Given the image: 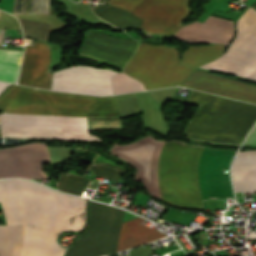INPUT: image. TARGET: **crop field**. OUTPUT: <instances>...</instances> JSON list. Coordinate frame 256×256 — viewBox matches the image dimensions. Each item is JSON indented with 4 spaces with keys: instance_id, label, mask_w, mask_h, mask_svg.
I'll return each instance as SVG.
<instances>
[{
    "instance_id": "crop-field-13",
    "label": "crop field",
    "mask_w": 256,
    "mask_h": 256,
    "mask_svg": "<svg viewBox=\"0 0 256 256\" xmlns=\"http://www.w3.org/2000/svg\"><path fill=\"white\" fill-rule=\"evenodd\" d=\"M232 36L233 22L209 16L203 23L182 26L173 38L190 43L214 42L227 45Z\"/></svg>"
},
{
    "instance_id": "crop-field-1",
    "label": "crop field",
    "mask_w": 256,
    "mask_h": 256,
    "mask_svg": "<svg viewBox=\"0 0 256 256\" xmlns=\"http://www.w3.org/2000/svg\"><path fill=\"white\" fill-rule=\"evenodd\" d=\"M0 112L49 116H119L114 97H95L8 85L0 94ZM1 113L3 137L100 140L89 133L86 118ZM27 134L9 137L29 138Z\"/></svg>"
},
{
    "instance_id": "crop-field-2",
    "label": "crop field",
    "mask_w": 256,
    "mask_h": 256,
    "mask_svg": "<svg viewBox=\"0 0 256 256\" xmlns=\"http://www.w3.org/2000/svg\"><path fill=\"white\" fill-rule=\"evenodd\" d=\"M0 205L7 224H23L19 256H62L57 235L85 222L84 199L26 180H0Z\"/></svg>"
},
{
    "instance_id": "crop-field-3",
    "label": "crop field",
    "mask_w": 256,
    "mask_h": 256,
    "mask_svg": "<svg viewBox=\"0 0 256 256\" xmlns=\"http://www.w3.org/2000/svg\"><path fill=\"white\" fill-rule=\"evenodd\" d=\"M161 144L147 137L124 146L115 145L111 153L136 167L134 178L142 181L149 193L174 205L201 208L203 197L197 169L205 148L168 141L160 149Z\"/></svg>"
},
{
    "instance_id": "crop-field-10",
    "label": "crop field",
    "mask_w": 256,
    "mask_h": 256,
    "mask_svg": "<svg viewBox=\"0 0 256 256\" xmlns=\"http://www.w3.org/2000/svg\"><path fill=\"white\" fill-rule=\"evenodd\" d=\"M49 159L44 143H32L0 149V178H43L41 162Z\"/></svg>"
},
{
    "instance_id": "crop-field-24",
    "label": "crop field",
    "mask_w": 256,
    "mask_h": 256,
    "mask_svg": "<svg viewBox=\"0 0 256 256\" xmlns=\"http://www.w3.org/2000/svg\"><path fill=\"white\" fill-rule=\"evenodd\" d=\"M251 7H253L254 9H256V2H254Z\"/></svg>"
},
{
    "instance_id": "crop-field-6",
    "label": "crop field",
    "mask_w": 256,
    "mask_h": 256,
    "mask_svg": "<svg viewBox=\"0 0 256 256\" xmlns=\"http://www.w3.org/2000/svg\"><path fill=\"white\" fill-rule=\"evenodd\" d=\"M124 211L91 201L90 225L65 256H101L116 251Z\"/></svg>"
},
{
    "instance_id": "crop-field-25",
    "label": "crop field",
    "mask_w": 256,
    "mask_h": 256,
    "mask_svg": "<svg viewBox=\"0 0 256 256\" xmlns=\"http://www.w3.org/2000/svg\"><path fill=\"white\" fill-rule=\"evenodd\" d=\"M0 136H1V134H0Z\"/></svg>"
},
{
    "instance_id": "crop-field-9",
    "label": "crop field",
    "mask_w": 256,
    "mask_h": 256,
    "mask_svg": "<svg viewBox=\"0 0 256 256\" xmlns=\"http://www.w3.org/2000/svg\"><path fill=\"white\" fill-rule=\"evenodd\" d=\"M118 74L110 69L74 66L53 73L51 89L89 95H111V79Z\"/></svg>"
},
{
    "instance_id": "crop-field-11",
    "label": "crop field",
    "mask_w": 256,
    "mask_h": 256,
    "mask_svg": "<svg viewBox=\"0 0 256 256\" xmlns=\"http://www.w3.org/2000/svg\"><path fill=\"white\" fill-rule=\"evenodd\" d=\"M181 86L256 103V86L196 69Z\"/></svg>"
},
{
    "instance_id": "crop-field-18",
    "label": "crop field",
    "mask_w": 256,
    "mask_h": 256,
    "mask_svg": "<svg viewBox=\"0 0 256 256\" xmlns=\"http://www.w3.org/2000/svg\"><path fill=\"white\" fill-rule=\"evenodd\" d=\"M22 52L0 50V80L16 83Z\"/></svg>"
},
{
    "instance_id": "crop-field-26",
    "label": "crop field",
    "mask_w": 256,
    "mask_h": 256,
    "mask_svg": "<svg viewBox=\"0 0 256 256\" xmlns=\"http://www.w3.org/2000/svg\"><path fill=\"white\" fill-rule=\"evenodd\" d=\"M13 9V8H12Z\"/></svg>"
},
{
    "instance_id": "crop-field-4",
    "label": "crop field",
    "mask_w": 256,
    "mask_h": 256,
    "mask_svg": "<svg viewBox=\"0 0 256 256\" xmlns=\"http://www.w3.org/2000/svg\"><path fill=\"white\" fill-rule=\"evenodd\" d=\"M224 48L222 45L189 47L180 61L172 47L141 43L123 70L140 80L146 89L178 85L196 67L219 56Z\"/></svg>"
},
{
    "instance_id": "crop-field-19",
    "label": "crop field",
    "mask_w": 256,
    "mask_h": 256,
    "mask_svg": "<svg viewBox=\"0 0 256 256\" xmlns=\"http://www.w3.org/2000/svg\"><path fill=\"white\" fill-rule=\"evenodd\" d=\"M112 85L114 89V94L144 90L143 85L139 81L126 76L122 72L115 76L112 81Z\"/></svg>"
},
{
    "instance_id": "crop-field-16",
    "label": "crop field",
    "mask_w": 256,
    "mask_h": 256,
    "mask_svg": "<svg viewBox=\"0 0 256 256\" xmlns=\"http://www.w3.org/2000/svg\"><path fill=\"white\" fill-rule=\"evenodd\" d=\"M91 171L94 175L118 181L121 173L123 172V169H120L107 163H105L104 166L94 163L91 168ZM86 182L87 179L63 174L59 181L58 189L66 193L78 195L81 189L86 184Z\"/></svg>"
},
{
    "instance_id": "crop-field-17",
    "label": "crop field",
    "mask_w": 256,
    "mask_h": 256,
    "mask_svg": "<svg viewBox=\"0 0 256 256\" xmlns=\"http://www.w3.org/2000/svg\"><path fill=\"white\" fill-rule=\"evenodd\" d=\"M22 225L0 226V256H18Z\"/></svg>"
},
{
    "instance_id": "crop-field-23",
    "label": "crop field",
    "mask_w": 256,
    "mask_h": 256,
    "mask_svg": "<svg viewBox=\"0 0 256 256\" xmlns=\"http://www.w3.org/2000/svg\"><path fill=\"white\" fill-rule=\"evenodd\" d=\"M7 85V83L4 82H0V92L2 91V89Z\"/></svg>"
},
{
    "instance_id": "crop-field-7",
    "label": "crop field",
    "mask_w": 256,
    "mask_h": 256,
    "mask_svg": "<svg viewBox=\"0 0 256 256\" xmlns=\"http://www.w3.org/2000/svg\"><path fill=\"white\" fill-rule=\"evenodd\" d=\"M143 20V31L174 35L189 16L191 0H108Z\"/></svg>"
},
{
    "instance_id": "crop-field-8",
    "label": "crop field",
    "mask_w": 256,
    "mask_h": 256,
    "mask_svg": "<svg viewBox=\"0 0 256 256\" xmlns=\"http://www.w3.org/2000/svg\"><path fill=\"white\" fill-rule=\"evenodd\" d=\"M201 68L221 70L256 79L255 10L249 8L238 20L235 40L226 53Z\"/></svg>"
},
{
    "instance_id": "crop-field-15",
    "label": "crop field",
    "mask_w": 256,
    "mask_h": 256,
    "mask_svg": "<svg viewBox=\"0 0 256 256\" xmlns=\"http://www.w3.org/2000/svg\"><path fill=\"white\" fill-rule=\"evenodd\" d=\"M235 192L256 189V151L239 152L232 166Z\"/></svg>"
},
{
    "instance_id": "crop-field-22",
    "label": "crop field",
    "mask_w": 256,
    "mask_h": 256,
    "mask_svg": "<svg viewBox=\"0 0 256 256\" xmlns=\"http://www.w3.org/2000/svg\"><path fill=\"white\" fill-rule=\"evenodd\" d=\"M49 15H56L53 6L50 3V0H49Z\"/></svg>"
},
{
    "instance_id": "crop-field-20",
    "label": "crop field",
    "mask_w": 256,
    "mask_h": 256,
    "mask_svg": "<svg viewBox=\"0 0 256 256\" xmlns=\"http://www.w3.org/2000/svg\"><path fill=\"white\" fill-rule=\"evenodd\" d=\"M114 97L117 103L120 116L140 111L135 93L117 95Z\"/></svg>"
},
{
    "instance_id": "crop-field-21",
    "label": "crop field",
    "mask_w": 256,
    "mask_h": 256,
    "mask_svg": "<svg viewBox=\"0 0 256 256\" xmlns=\"http://www.w3.org/2000/svg\"><path fill=\"white\" fill-rule=\"evenodd\" d=\"M256 144V126L245 141V145Z\"/></svg>"
},
{
    "instance_id": "crop-field-14",
    "label": "crop field",
    "mask_w": 256,
    "mask_h": 256,
    "mask_svg": "<svg viewBox=\"0 0 256 256\" xmlns=\"http://www.w3.org/2000/svg\"><path fill=\"white\" fill-rule=\"evenodd\" d=\"M143 221L138 217L122 223L117 252L166 237L158 230L141 224Z\"/></svg>"
},
{
    "instance_id": "crop-field-12",
    "label": "crop field",
    "mask_w": 256,
    "mask_h": 256,
    "mask_svg": "<svg viewBox=\"0 0 256 256\" xmlns=\"http://www.w3.org/2000/svg\"><path fill=\"white\" fill-rule=\"evenodd\" d=\"M49 45L35 41L34 46H25L24 59L18 84L50 89L52 74L48 69Z\"/></svg>"
},
{
    "instance_id": "crop-field-5",
    "label": "crop field",
    "mask_w": 256,
    "mask_h": 256,
    "mask_svg": "<svg viewBox=\"0 0 256 256\" xmlns=\"http://www.w3.org/2000/svg\"><path fill=\"white\" fill-rule=\"evenodd\" d=\"M188 101L202 104L187 125L190 138L240 143L256 121V105L195 91Z\"/></svg>"
}]
</instances>
